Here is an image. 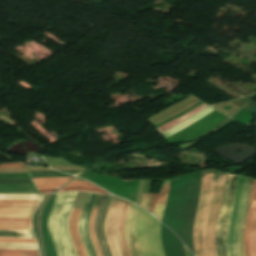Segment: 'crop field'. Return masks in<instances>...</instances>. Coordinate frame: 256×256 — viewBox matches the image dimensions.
<instances>
[{"label":"crop field","instance_id":"crop-field-19","mask_svg":"<svg viewBox=\"0 0 256 256\" xmlns=\"http://www.w3.org/2000/svg\"><path fill=\"white\" fill-rule=\"evenodd\" d=\"M0 199H41V195H0Z\"/></svg>","mask_w":256,"mask_h":256},{"label":"crop field","instance_id":"crop-field-24","mask_svg":"<svg viewBox=\"0 0 256 256\" xmlns=\"http://www.w3.org/2000/svg\"><path fill=\"white\" fill-rule=\"evenodd\" d=\"M5 167H25V165H22V164H5V165L0 166V168H5Z\"/></svg>","mask_w":256,"mask_h":256},{"label":"crop field","instance_id":"crop-field-11","mask_svg":"<svg viewBox=\"0 0 256 256\" xmlns=\"http://www.w3.org/2000/svg\"><path fill=\"white\" fill-rule=\"evenodd\" d=\"M169 183H170V179L165 180L163 182L162 189L159 196V202H158V205L155 206V210L153 213L155 216L159 218L160 221L162 219V215L165 207L166 197L169 190Z\"/></svg>","mask_w":256,"mask_h":256},{"label":"crop field","instance_id":"crop-field-3","mask_svg":"<svg viewBox=\"0 0 256 256\" xmlns=\"http://www.w3.org/2000/svg\"><path fill=\"white\" fill-rule=\"evenodd\" d=\"M130 202L113 197L105 220V236L112 256H130L124 234V220Z\"/></svg>","mask_w":256,"mask_h":256},{"label":"crop field","instance_id":"crop-field-12","mask_svg":"<svg viewBox=\"0 0 256 256\" xmlns=\"http://www.w3.org/2000/svg\"><path fill=\"white\" fill-rule=\"evenodd\" d=\"M101 196L102 195H99V194H97V196H96L95 204H94V207H93V211H92V215H91V219H90V223H89V232H90L91 239H92L93 245L95 247V250H96L98 256H102V255H101V252H100V249H99V245H98L96 236L94 234V220H95L96 212H97L98 207H99Z\"/></svg>","mask_w":256,"mask_h":256},{"label":"crop field","instance_id":"crop-field-7","mask_svg":"<svg viewBox=\"0 0 256 256\" xmlns=\"http://www.w3.org/2000/svg\"><path fill=\"white\" fill-rule=\"evenodd\" d=\"M253 184H254V180L250 179L247 196H246L244 213L242 216L241 227H240V239H239L240 256H245L244 251H243V241H244V235H245V224H246V220H247V212H248V207H249V203H250V197H251Z\"/></svg>","mask_w":256,"mask_h":256},{"label":"crop field","instance_id":"crop-field-21","mask_svg":"<svg viewBox=\"0 0 256 256\" xmlns=\"http://www.w3.org/2000/svg\"><path fill=\"white\" fill-rule=\"evenodd\" d=\"M70 190H85V191H93V192L106 193V192H104L101 189L91 188V187H79V186L65 187L61 191H70ZM106 194H108V193H106Z\"/></svg>","mask_w":256,"mask_h":256},{"label":"crop field","instance_id":"crop-field-1","mask_svg":"<svg viewBox=\"0 0 256 256\" xmlns=\"http://www.w3.org/2000/svg\"><path fill=\"white\" fill-rule=\"evenodd\" d=\"M227 174L202 171L199 206L194 226L195 256H218L215 249V228Z\"/></svg>","mask_w":256,"mask_h":256},{"label":"crop field","instance_id":"crop-field-17","mask_svg":"<svg viewBox=\"0 0 256 256\" xmlns=\"http://www.w3.org/2000/svg\"><path fill=\"white\" fill-rule=\"evenodd\" d=\"M250 252L251 256H256V209L253 216V223L251 229Z\"/></svg>","mask_w":256,"mask_h":256},{"label":"crop field","instance_id":"crop-field-18","mask_svg":"<svg viewBox=\"0 0 256 256\" xmlns=\"http://www.w3.org/2000/svg\"><path fill=\"white\" fill-rule=\"evenodd\" d=\"M0 248L38 249L37 244H0Z\"/></svg>","mask_w":256,"mask_h":256},{"label":"crop field","instance_id":"crop-field-25","mask_svg":"<svg viewBox=\"0 0 256 256\" xmlns=\"http://www.w3.org/2000/svg\"><path fill=\"white\" fill-rule=\"evenodd\" d=\"M59 188V187H55V188H41L38 189L41 193H50L52 190Z\"/></svg>","mask_w":256,"mask_h":256},{"label":"crop field","instance_id":"crop-field-14","mask_svg":"<svg viewBox=\"0 0 256 256\" xmlns=\"http://www.w3.org/2000/svg\"><path fill=\"white\" fill-rule=\"evenodd\" d=\"M206 107H208V106H205V105L202 104V105L196 107L195 109L189 111L188 113L184 114V116H181V117H179V118H177V119H175V120L157 128V130L161 133L164 130L168 129L169 127H171V126H173V125H175V124H177V123L195 115L196 113L200 112L201 110H203Z\"/></svg>","mask_w":256,"mask_h":256},{"label":"crop field","instance_id":"crop-field-8","mask_svg":"<svg viewBox=\"0 0 256 256\" xmlns=\"http://www.w3.org/2000/svg\"><path fill=\"white\" fill-rule=\"evenodd\" d=\"M255 203H256V180L254 184L250 208L248 212V221L246 225V235H245V241H244V251L246 256H250V252H249L250 229H251L252 216L254 213Z\"/></svg>","mask_w":256,"mask_h":256},{"label":"crop field","instance_id":"crop-field-20","mask_svg":"<svg viewBox=\"0 0 256 256\" xmlns=\"http://www.w3.org/2000/svg\"><path fill=\"white\" fill-rule=\"evenodd\" d=\"M0 243H36L35 239L0 238Z\"/></svg>","mask_w":256,"mask_h":256},{"label":"crop field","instance_id":"crop-field-16","mask_svg":"<svg viewBox=\"0 0 256 256\" xmlns=\"http://www.w3.org/2000/svg\"><path fill=\"white\" fill-rule=\"evenodd\" d=\"M142 195L153 196V198L152 197H147V196H142L141 204H140V206H142L144 209L147 210L150 206V201H151V198H152L150 210L149 209L148 210L151 213H153L154 206L158 202L159 194H142Z\"/></svg>","mask_w":256,"mask_h":256},{"label":"crop field","instance_id":"crop-field-13","mask_svg":"<svg viewBox=\"0 0 256 256\" xmlns=\"http://www.w3.org/2000/svg\"><path fill=\"white\" fill-rule=\"evenodd\" d=\"M72 178H44V179H32L37 188L41 187H55L62 186Z\"/></svg>","mask_w":256,"mask_h":256},{"label":"crop field","instance_id":"crop-field-5","mask_svg":"<svg viewBox=\"0 0 256 256\" xmlns=\"http://www.w3.org/2000/svg\"><path fill=\"white\" fill-rule=\"evenodd\" d=\"M248 180L249 179L247 178L238 176L237 187L233 200V208L231 211V220L228 230L227 250L229 256H239V226L244 208Z\"/></svg>","mask_w":256,"mask_h":256},{"label":"crop field","instance_id":"crop-field-9","mask_svg":"<svg viewBox=\"0 0 256 256\" xmlns=\"http://www.w3.org/2000/svg\"><path fill=\"white\" fill-rule=\"evenodd\" d=\"M213 109L211 108H207L204 111L198 113L197 115L193 116L192 118L166 130L165 132L161 133L165 138L173 135L174 133H176L177 131L185 128L186 126L190 125L191 123H193L194 121L200 119L201 117L205 116L206 114H208L209 112H211Z\"/></svg>","mask_w":256,"mask_h":256},{"label":"crop field","instance_id":"crop-field-23","mask_svg":"<svg viewBox=\"0 0 256 256\" xmlns=\"http://www.w3.org/2000/svg\"><path fill=\"white\" fill-rule=\"evenodd\" d=\"M69 185H82V186H91V187H96L95 185L87 182V181H77L74 180L73 182H71ZM68 186V185H67Z\"/></svg>","mask_w":256,"mask_h":256},{"label":"crop field","instance_id":"crop-field-2","mask_svg":"<svg viewBox=\"0 0 256 256\" xmlns=\"http://www.w3.org/2000/svg\"><path fill=\"white\" fill-rule=\"evenodd\" d=\"M125 233L132 256H164L160 222L134 204L127 212Z\"/></svg>","mask_w":256,"mask_h":256},{"label":"crop field","instance_id":"crop-field-10","mask_svg":"<svg viewBox=\"0 0 256 256\" xmlns=\"http://www.w3.org/2000/svg\"><path fill=\"white\" fill-rule=\"evenodd\" d=\"M106 196H107V195H104V196H103L102 202H101L100 207H99V210H98V212H97L96 221H95V234H96L97 239H98V241H99V244H100V247H101L102 255H103V256H111L110 249H109L108 243H107V241H106V238H100L99 230H98V222H99L101 210H102V208H103V205H104Z\"/></svg>","mask_w":256,"mask_h":256},{"label":"crop field","instance_id":"crop-field-15","mask_svg":"<svg viewBox=\"0 0 256 256\" xmlns=\"http://www.w3.org/2000/svg\"><path fill=\"white\" fill-rule=\"evenodd\" d=\"M0 256H40L38 250L0 249Z\"/></svg>","mask_w":256,"mask_h":256},{"label":"crop field","instance_id":"crop-field-4","mask_svg":"<svg viewBox=\"0 0 256 256\" xmlns=\"http://www.w3.org/2000/svg\"><path fill=\"white\" fill-rule=\"evenodd\" d=\"M40 200H0V229L32 230L31 216Z\"/></svg>","mask_w":256,"mask_h":256},{"label":"crop field","instance_id":"crop-field-22","mask_svg":"<svg viewBox=\"0 0 256 256\" xmlns=\"http://www.w3.org/2000/svg\"><path fill=\"white\" fill-rule=\"evenodd\" d=\"M198 102H200V101L197 100V101L191 103L190 105L184 107L183 109L179 110L178 112H176V113H174V114H172V115H170V116H168V117H166V118H164V119H161L160 121H157V122H155V123H153V124L156 125V124H158V123H160V122H162V121H165V120H167V119H169V118H171V117H173V116H175V115H177V114H179V113H181V112L187 110L188 108H190L191 106L195 105V104L198 103Z\"/></svg>","mask_w":256,"mask_h":256},{"label":"crop field","instance_id":"crop-field-6","mask_svg":"<svg viewBox=\"0 0 256 256\" xmlns=\"http://www.w3.org/2000/svg\"><path fill=\"white\" fill-rule=\"evenodd\" d=\"M80 209L73 208L68 219V230L77 256H86L83 244L78 234L77 226L81 214Z\"/></svg>","mask_w":256,"mask_h":256}]
</instances>
